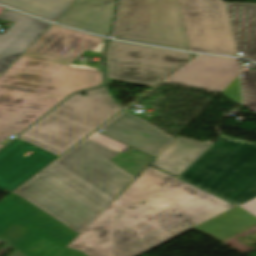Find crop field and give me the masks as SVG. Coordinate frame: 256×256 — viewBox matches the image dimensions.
Segmentation results:
<instances>
[{"mask_svg": "<svg viewBox=\"0 0 256 256\" xmlns=\"http://www.w3.org/2000/svg\"><path fill=\"white\" fill-rule=\"evenodd\" d=\"M223 95L242 105L241 92L238 77L222 92Z\"/></svg>", "mask_w": 256, "mask_h": 256, "instance_id": "bc2a9ffb", "label": "crop field"}, {"mask_svg": "<svg viewBox=\"0 0 256 256\" xmlns=\"http://www.w3.org/2000/svg\"><path fill=\"white\" fill-rule=\"evenodd\" d=\"M127 147L96 132L14 193L80 234L134 178L110 163Z\"/></svg>", "mask_w": 256, "mask_h": 256, "instance_id": "34b2d1b8", "label": "crop field"}, {"mask_svg": "<svg viewBox=\"0 0 256 256\" xmlns=\"http://www.w3.org/2000/svg\"><path fill=\"white\" fill-rule=\"evenodd\" d=\"M255 225L256 217L237 207L194 230L223 242Z\"/></svg>", "mask_w": 256, "mask_h": 256, "instance_id": "d9b57169", "label": "crop field"}, {"mask_svg": "<svg viewBox=\"0 0 256 256\" xmlns=\"http://www.w3.org/2000/svg\"><path fill=\"white\" fill-rule=\"evenodd\" d=\"M0 20L14 22L0 35V75L36 40L51 24L15 13L9 9Z\"/></svg>", "mask_w": 256, "mask_h": 256, "instance_id": "d1516ede", "label": "crop field"}, {"mask_svg": "<svg viewBox=\"0 0 256 256\" xmlns=\"http://www.w3.org/2000/svg\"><path fill=\"white\" fill-rule=\"evenodd\" d=\"M242 75L245 107L256 113V70H243Z\"/></svg>", "mask_w": 256, "mask_h": 256, "instance_id": "4a817a6b", "label": "crop field"}, {"mask_svg": "<svg viewBox=\"0 0 256 256\" xmlns=\"http://www.w3.org/2000/svg\"><path fill=\"white\" fill-rule=\"evenodd\" d=\"M103 134L157 157L174 139L127 112L103 127Z\"/></svg>", "mask_w": 256, "mask_h": 256, "instance_id": "28ad6ade", "label": "crop field"}, {"mask_svg": "<svg viewBox=\"0 0 256 256\" xmlns=\"http://www.w3.org/2000/svg\"><path fill=\"white\" fill-rule=\"evenodd\" d=\"M115 2L116 0H77L56 23L108 36Z\"/></svg>", "mask_w": 256, "mask_h": 256, "instance_id": "22f410ed", "label": "crop field"}, {"mask_svg": "<svg viewBox=\"0 0 256 256\" xmlns=\"http://www.w3.org/2000/svg\"><path fill=\"white\" fill-rule=\"evenodd\" d=\"M192 59L191 54L111 41L108 79L154 87Z\"/></svg>", "mask_w": 256, "mask_h": 256, "instance_id": "e52e79f7", "label": "crop field"}, {"mask_svg": "<svg viewBox=\"0 0 256 256\" xmlns=\"http://www.w3.org/2000/svg\"><path fill=\"white\" fill-rule=\"evenodd\" d=\"M174 177L149 166L68 248L86 256H136L235 205L179 179L150 197Z\"/></svg>", "mask_w": 256, "mask_h": 256, "instance_id": "8a807250", "label": "crop field"}, {"mask_svg": "<svg viewBox=\"0 0 256 256\" xmlns=\"http://www.w3.org/2000/svg\"><path fill=\"white\" fill-rule=\"evenodd\" d=\"M114 38L189 50L177 0H121Z\"/></svg>", "mask_w": 256, "mask_h": 256, "instance_id": "dd49c442", "label": "crop field"}, {"mask_svg": "<svg viewBox=\"0 0 256 256\" xmlns=\"http://www.w3.org/2000/svg\"><path fill=\"white\" fill-rule=\"evenodd\" d=\"M12 256H27L23 254L21 251H16Z\"/></svg>", "mask_w": 256, "mask_h": 256, "instance_id": "92a150f3", "label": "crop field"}, {"mask_svg": "<svg viewBox=\"0 0 256 256\" xmlns=\"http://www.w3.org/2000/svg\"><path fill=\"white\" fill-rule=\"evenodd\" d=\"M240 73L236 59L200 55L165 82L222 92Z\"/></svg>", "mask_w": 256, "mask_h": 256, "instance_id": "3316defc", "label": "crop field"}, {"mask_svg": "<svg viewBox=\"0 0 256 256\" xmlns=\"http://www.w3.org/2000/svg\"><path fill=\"white\" fill-rule=\"evenodd\" d=\"M190 51L237 56L223 0H179Z\"/></svg>", "mask_w": 256, "mask_h": 256, "instance_id": "d8731c3e", "label": "crop field"}, {"mask_svg": "<svg viewBox=\"0 0 256 256\" xmlns=\"http://www.w3.org/2000/svg\"><path fill=\"white\" fill-rule=\"evenodd\" d=\"M13 224L31 232L13 245L22 252L42 237L66 248L79 235L14 193L0 201V233ZM59 256L85 255L66 248Z\"/></svg>", "mask_w": 256, "mask_h": 256, "instance_id": "5a996713", "label": "crop field"}, {"mask_svg": "<svg viewBox=\"0 0 256 256\" xmlns=\"http://www.w3.org/2000/svg\"><path fill=\"white\" fill-rule=\"evenodd\" d=\"M0 147H2V145H0Z\"/></svg>", "mask_w": 256, "mask_h": 256, "instance_id": "00972430", "label": "crop field"}, {"mask_svg": "<svg viewBox=\"0 0 256 256\" xmlns=\"http://www.w3.org/2000/svg\"><path fill=\"white\" fill-rule=\"evenodd\" d=\"M239 207L256 216V198L240 205Z\"/></svg>", "mask_w": 256, "mask_h": 256, "instance_id": "214f88e0", "label": "crop field"}, {"mask_svg": "<svg viewBox=\"0 0 256 256\" xmlns=\"http://www.w3.org/2000/svg\"><path fill=\"white\" fill-rule=\"evenodd\" d=\"M75 1L0 0V3L55 22Z\"/></svg>", "mask_w": 256, "mask_h": 256, "instance_id": "733c2abd", "label": "crop field"}, {"mask_svg": "<svg viewBox=\"0 0 256 256\" xmlns=\"http://www.w3.org/2000/svg\"><path fill=\"white\" fill-rule=\"evenodd\" d=\"M208 146L209 144L178 137L166 147L152 165L177 176Z\"/></svg>", "mask_w": 256, "mask_h": 256, "instance_id": "5142ce71", "label": "crop field"}, {"mask_svg": "<svg viewBox=\"0 0 256 256\" xmlns=\"http://www.w3.org/2000/svg\"><path fill=\"white\" fill-rule=\"evenodd\" d=\"M104 38L52 25L0 76V143L71 92L102 83L101 72L68 67Z\"/></svg>", "mask_w": 256, "mask_h": 256, "instance_id": "ac0d7876", "label": "crop field"}, {"mask_svg": "<svg viewBox=\"0 0 256 256\" xmlns=\"http://www.w3.org/2000/svg\"><path fill=\"white\" fill-rule=\"evenodd\" d=\"M180 178L238 206L256 197V143L221 135Z\"/></svg>", "mask_w": 256, "mask_h": 256, "instance_id": "f4fd0767", "label": "crop field"}, {"mask_svg": "<svg viewBox=\"0 0 256 256\" xmlns=\"http://www.w3.org/2000/svg\"><path fill=\"white\" fill-rule=\"evenodd\" d=\"M75 94L0 151V187L12 191L120 111L106 87Z\"/></svg>", "mask_w": 256, "mask_h": 256, "instance_id": "412701ff", "label": "crop field"}, {"mask_svg": "<svg viewBox=\"0 0 256 256\" xmlns=\"http://www.w3.org/2000/svg\"><path fill=\"white\" fill-rule=\"evenodd\" d=\"M224 4L236 51L256 61V4Z\"/></svg>", "mask_w": 256, "mask_h": 256, "instance_id": "cbeb9de0", "label": "crop field"}, {"mask_svg": "<svg viewBox=\"0 0 256 256\" xmlns=\"http://www.w3.org/2000/svg\"><path fill=\"white\" fill-rule=\"evenodd\" d=\"M4 10V8L0 7V13Z\"/></svg>", "mask_w": 256, "mask_h": 256, "instance_id": "dafd665d", "label": "crop field"}]
</instances>
